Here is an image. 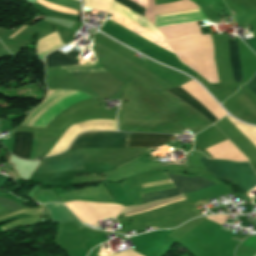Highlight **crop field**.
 <instances>
[{"label": "crop field", "instance_id": "8a807250", "mask_svg": "<svg viewBox=\"0 0 256 256\" xmlns=\"http://www.w3.org/2000/svg\"><path fill=\"white\" fill-rule=\"evenodd\" d=\"M203 166L216 178L230 181L243 193L256 186V174L249 163H236L224 160L199 159Z\"/></svg>", "mask_w": 256, "mask_h": 256}, {"label": "crop field", "instance_id": "ac0d7876", "mask_svg": "<svg viewBox=\"0 0 256 256\" xmlns=\"http://www.w3.org/2000/svg\"><path fill=\"white\" fill-rule=\"evenodd\" d=\"M126 148V133L86 132L79 135L68 149Z\"/></svg>", "mask_w": 256, "mask_h": 256}, {"label": "crop field", "instance_id": "34b2d1b8", "mask_svg": "<svg viewBox=\"0 0 256 256\" xmlns=\"http://www.w3.org/2000/svg\"><path fill=\"white\" fill-rule=\"evenodd\" d=\"M168 176L172 180V182L175 184V186L178 188V190L181 194L182 193L185 194L187 192H195L197 190L205 189V188L211 187L213 185H216V184H214L210 181H207L199 176L183 177V176H176V175H170V174H168ZM178 190L174 189V190L144 194V195H142L143 202H144V204H147V203L155 201V200L180 195Z\"/></svg>", "mask_w": 256, "mask_h": 256}, {"label": "crop field", "instance_id": "412701ff", "mask_svg": "<svg viewBox=\"0 0 256 256\" xmlns=\"http://www.w3.org/2000/svg\"><path fill=\"white\" fill-rule=\"evenodd\" d=\"M118 3H120L121 5L129 8L130 10L136 12L137 14L141 15L144 17L145 14V8L139 6L138 4L134 3L131 0H114ZM113 1L112 7L110 12L128 20L129 22L147 30L148 32L162 38L163 36L161 35V33L158 31L157 28H155L153 25H151L148 21H146L143 17L137 15L136 13L128 10L127 8L121 6L120 4L116 3ZM165 40V39H164Z\"/></svg>", "mask_w": 256, "mask_h": 256}, {"label": "crop field", "instance_id": "f4fd0767", "mask_svg": "<svg viewBox=\"0 0 256 256\" xmlns=\"http://www.w3.org/2000/svg\"><path fill=\"white\" fill-rule=\"evenodd\" d=\"M85 169L81 151L42 159L35 173Z\"/></svg>", "mask_w": 256, "mask_h": 256}, {"label": "crop field", "instance_id": "dd49c442", "mask_svg": "<svg viewBox=\"0 0 256 256\" xmlns=\"http://www.w3.org/2000/svg\"><path fill=\"white\" fill-rule=\"evenodd\" d=\"M169 135L127 133V148H159Z\"/></svg>", "mask_w": 256, "mask_h": 256}, {"label": "crop field", "instance_id": "e52e79f7", "mask_svg": "<svg viewBox=\"0 0 256 256\" xmlns=\"http://www.w3.org/2000/svg\"><path fill=\"white\" fill-rule=\"evenodd\" d=\"M33 133L14 132L11 153L29 159Z\"/></svg>", "mask_w": 256, "mask_h": 256}, {"label": "crop field", "instance_id": "d8731c3e", "mask_svg": "<svg viewBox=\"0 0 256 256\" xmlns=\"http://www.w3.org/2000/svg\"><path fill=\"white\" fill-rule=\"evenodd\" d=\"M47 210L50 213L51 220L53 223H63V222H69L74 221L75 224L82 228V226L79 221L71 214V212L64 206L59 204H45Z\"/></svg>", "mask_w": 256, "mask_h": 256}, {"label": "crop field", "instance_id": "5a996713", "mask_svg": "<svg viewBox=\"0 0 256 256\" xmlns=\"http://www.w3.org/2000/svg\"><path fill=\"white\" fill-rule=\"evenodd\" d=\"M173 94L174 96L178 97L197 111H199L201 114H203L207 119H209L212 123L218 121L216 117L209 112L204 106H202L199 102H197L194 98H192L188 93H186L183 89L180 87L173 88L166 90ZM198 112V113H199Z\"/></svg>", "mask_w": 256, "mask_h": 256}, {"label": "crop field", "instance_id": "3316defc", "mask_svg": "<svg viewBox=\"0 0 256 256\" xmlns=\"http://www.w3.org/2000/svg\"><path fill=\"white\" fill-rule=\"evenodd\" d=\"M79 54H81V52L72 51L65 55L56 50L55 52L45 57L46 67L76 65L77 63L73 62V59L76 58Z\"/></svg>", "mask_w": 256, "mask_h": 256}, {"label": "crop field", "instance_id": "28ad6ade", "mask_svg": "<svg viewBox=\"0 0 256 256\" xmlns=\"http://www.w3.org/2000/svg\"><path fill=\"white\" fill-rule=\"evenodd\" d=\"M229 48V60L235 82H242L241 65L239 59L237 40H227Z\"/></svg>", "mask_w": 256, "mask_h": 256}, {"label": "crop field", "instance_id": "d1516ede", "mask_svg": "<svg viewBox=\"0 0 256 256\" xmlns=\"http://www.w3.org/2000/svg\"><path fill=\"white\" fill-rule=\"evenodd\" d=\"M49 9H52V10H57V11H61L63 13H71V14H75V15H78V12L77 11H74V10H71V9H68V8H65V7H61V6H57V5H54L50 2H47V1H44V0H37L35 1Z\"/></svg>", "mask_w": 256, "mask_h": 256}, {"label": "crop field", "instance_id": "22f410ed", "mask_svg": "<svg viewBox=\"0 0 256 256\" xmlns=\"http://www.w3.org/2000/svg\"><path fill=\"white\" fill-rule=\"evenodd\" d=\"M0 205L10 212L23 209L6 198H0Z\"/></svg>", "mask_w": 256, "mask_h": 256}, {"label": "crop field", "instance_id": "cbeb9de0", "mask_svg": "<svg viewBox=\"0 0 256 256\" xmlns=\"http://www.w3.org/2000/svg\"><path fill=\"white\" fill-rule=\"evenodd\" d=\"M248 92H250L256 98V75L244 86Z\"/></svg>", "mask_w": 256, "mask_h": 256}, {"label": "crop field", "instance_id": "5142ce71", "mask_svg": "<svg viewBox=\"0 0 256 256\" xmlns=\"http://www.w3.org/2000/svg\"><path fill=\"white\" fill-rule=\"evenodd\" d=\"M105 71L102 68H95V69H83V70H71V71H67L71 74H78V73H90V72H102Z\"/></svg>", "mask_w": 256, "mask_h": 256}, {"label": "crop field", "instance_id": "d9b57169", "mask_svg": "<svg viewBox=\"0 0 256 256\" xmlns=\"http://www.w3.org/2000/svg\"><path fill=\"white\" fill-rule=\"evenodd\" d=\"M244 42L256 53V37L244 40Z\"/></svg>", "mask_w": 256, "mask_h": 256}, {"label": "crop field", "instance_id": "733c2abd", "mask_svg": "<svg viewBox=\"0 0 256 256\" xmlns=\"http://www.w3.org/2000/svg\"><path fill=\"white\" fill-rule=\"evenodd\" d=\"M22 29H24V27L23 28H21L19 31H17L15 34H13L11 37H9L10 39L12 38V37H14L17 33H19Z\"/></svg>", "mask_w": 256, "mask_h": 256}, {"label": "crop field", "instance_id": "4a817a6b", "mask_svg": "<svg viewBox=\"0 0 256 256\" xmlns=\"http://www.w3.org/2000/svg\"><path fill=\"white\" fill-rule=\"evenodd\" d=\"M89 224V223H88Z\"/></svg>", "mask_w": 256, "mask_h": 256}]
</instances>
